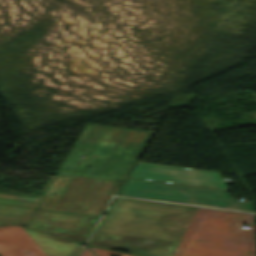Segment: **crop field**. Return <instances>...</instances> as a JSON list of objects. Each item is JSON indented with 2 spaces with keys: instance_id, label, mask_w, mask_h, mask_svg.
Segmentation results:
<instances>
[{
  "instance_id": "34b2d1b8",
  "label": "crop field",
  "mask_w": 256,
  "mask_h": 256,
  "mask_svg": "<svg viewBox=\"0 0 256 256\" xmlns=\"http://www.w3.org/2000/svg\"><path fill=\"white\" fill-rule=\"evenodd\" d=\"M120 195L253 212L252 203L230 198L227 191L149 180L128 178Z\"/></svg>"
},
{
  "instance_id": "d8731c3e",
  "label": "crop field",
  "mask_w": 256,
  "mask_h": 256,
  "mask_svg": "<svg viewBox=\"0 0 256 256\" xmlns=\"http://www.w3.org/2000/svg\"><path fill=\"white\" fill-rule=\"evenodd\" d=\"M80 256H94L88 248H85Z\"/></svg>"
},
{
  "instance_id": "dd49c442",
  "label": "crop field",
  "mask_w": 256,
  "mask_h": 256,
  "mask_svg": "<svg viewBox=\"0 0 256 256\" xmlns=\"http://www.w3.org/2000/svg\"><path fill=\"white\" fill-rule=\"evenodd\" d=\"M97 220L91 216L36 210L27 227L84 243Z\"/></svg>"
},
{
  "instance_id": "8a807250",
  "label": "crop field",
  "mask_w": 256,
  "mask_h": 256,
  "mask_svg": "<svg viewBox=\"0 0 256 256\" xmlns=\"http://www.w3.org/2000/svg\"><path fill=\"white\" fill-rule=\"evenodd\" d=\"M253 214L116 197L90 246L139 256H256Z\"/></svg>"
},
{
  "instance_id": "e52e79f7",
  "label": "crop field",
  "mask_w": 256,
  "mask_h": 256,
  "mask_svg": "<svg viewBox=\"0 0 256 256\" xmlns=\"http://www.w3.org/2000/svg\"><path fill=\"white\" fill-rule=\"evenodd\" d=\"M97 256H108L110 254L112 255H118V256H131V255H126V254H121V253H116V252H111V251H106L102 249H97L93 247H89Z\"/></svg>"
},
{
  "instance_id": "f4fd0767",
  "label": "crop field",
  "mask_w": 256,
  "mask_h": 256,
  "mask_svg": "<svg viewBox=\"0 0 256 256\" xmlns=\"http://www.w3.org/2000/svg\"><path fill=\"white\" fill-rule=\"evenodd\" d=\"M130 177L222 190H229L226 184L233 183L216 172L142 162H138Z\"/></svg>"
},
{
  "instance_id": "412701ff",
  "label": "crop field",
  "mask_w": 256,
  "mask_h": 256,
  "mask_svg": "<svg viewBox=\"0 0 256 256\" xmlns=\"http://www.w3.org/2000/svg\"><path fill=\"white\" fill-rule=\"evenodd\" d=\"M81 247L18 225L0 227V256H76Z\"/></svg>"
},
{
  "instance_id": "ac0d7876",
  "label": "crop field",
  "mask_w": 256,
  "mask_h": 256,
  "mask_svg": "<svg viewBox=\"0 0 256 256\" xmlns=\"http://www.w3.org/2000/svg\"><path fill=\"white\" fill-rule=\"evenodd\" d=\"M152 135L87 123L58 173L125 180Z\"/></svg>"
}]
</instances>
